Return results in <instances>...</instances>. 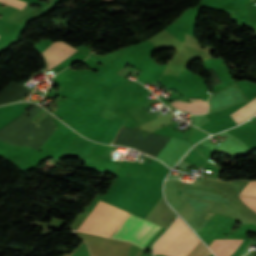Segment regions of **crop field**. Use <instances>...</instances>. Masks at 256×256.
I'll return each mask as SVG.
<instances>
[{
    "label": "crop field",
    "instance_id": "obj_1",
    "mask_svg": "<svg viewBox=\"0 0 256 256\" xmlns=\"http://www.w3.org/2000/svg\"><path fill=\"white\" fill-rule=\"evenodd\" d=\"M199 239L177 218L167 233L154 246V253L167 256H187Z\"/></svg>",
    "mask_w": 256,
    "mask_h": 256
},
{
    "label": "crop field",
    "instance_id": "obj_2",
    "mask_svg": "<svg viewBox=\"0 0 256 256\" xmlns=\"http://www.w3.org/2000/svg\"><path fill=\"white\" fill-rule=\"evenodd\" d=\"M160 229L161 227L130 214L111 237L132 241L143 247Z\"/></svg>",
    "mask_w": 256,
    "mask_h": 256
},
{
    "label": "crop field",
    "instance_id": "obj_3",
    "mask_svg": "<svg viewBox=\"0 0 256 256\" xmlns=\"http://www.w3.org/2000/svg\"><path fill=\"white\" fill-rule=\"evenodd\" d=\"M127 214L108 204L89 232L110 237Z\"/></svg>",
    "mask_w": 256,
    "mask_h": 256
},
{
    "label": "crop field",
    "instance_id": "obj_4",
    "mask_svg": "<svg viewBox=\"0 0 256 256\" xmlns=\"http://www.w3.org/2000/svg\"><path fill=\"white\" fill-rule=\"evenodd\" d=\"M192 146V144L185 140L172 138L156 158L163 160L168 166L173 167Z\"/></svg>",
    "mask_w": 256,
    "mask_h": 256
},
{
    "label": "crop field",
    "instance_id": "obj_5",
    "mask_svg": "<svg viewBox=\"0 0 256 256\" xmlns=\"http://www.w3.org/2000/svg\"><path fill=\"white\" fill-rule=\"evenodd\" d=\"M75 51L77 50L63 41L54 42L42 53L46 60L47 69H51L53 66L73 54Z\"/></svg>",
    "mask_w": 256,
    "mask_h": 256
},
{
    "label": "crop field",
    "instance_id": "obj_6",
    "mask_svg": "<svg viewBox=\"0 0 256 256\" xmlns=\"http://www.w3.org/2000/svg\"><path fill=\"white\" fill-rule=\"evenodd\" d=\"M243 239H214L209 246L215 256H230Z\"/></svg>",
    "mask_w": 256,
    "mask_h": 256
},
{
    "label": "crop field",
    "instance_id": "obj_7",
    "mask_svg": "<svg viewBox=\"0 0 256 256\" xmlns=\"http://www.w3.org/2000/svg\"><path fill=\"white\" fill-rule=\"evenodd\" d=\"M172 106L183 111H187L191 114H203L208 110V103L206 101H193L191 104L175 101L171 103Z\"/></svg>",
    "mask_w": 256,
    "mask_h": 256
},
{
    "label": "crop field",
    "instance_id": "obj_8",
    "mask_svg": "<svg viewBox=\"0 0 256 256\" xmlns=\"http://www.w3.org/2000/svg\"><path fill=\"white\" fill-rule=\"evenodd\" d=\"M256 113V98L230 116L237 124H240Z\"/></svg>",
    "mask_w": 256,
    "mask_h": 256
},
{
    "label": "crop field",
    "instance_id": "obj_9",
    "mask_svg": "<svg viewBox=\"0 0 256 256\" xmlns=\"http://www.w3.org/2000/svg\"><path fill=\"white\" fill-rule=\"evenodd\" d=\"M240 194V193H239ZM238 194V195H239ZM242 196H250V197H256V181H250L249 184L245 187V189L241 192ZM239 196V198L248 206L250 207L254 212H256V198H250V197H242Z\"/></svg>",
    "mask_w": 256,
    "mask_h": 256
},
{
    "label": "crop field",
    "instance_id": "obj_10",
    "mask_svg": "<svg viewBox=\"0 0 256 256\" xmlns=\"http://www.w3.org/2000/svg\"><path fill=\"white\" fill-rule=\"evenodd\" d=\"M210 255L211 254L209 253V251L200 242V244L188 256H210Z\"/></svg>",
    "mask_w": 256,
    "mask_h": 256
},
{
    "label": "crop field",
    "instance_id": "obj_11",
    "mask_svg": "<svg viewBox=\"0 0 256 256\" xmlns=\"http://www.w3.org/2000/svg\"><path fill=\"white\" fill-rule=\"evenodd\" d=\"M0 2L23 9L26 2L20 0H0Z\"/></svg>",
    "mask_w": 256,
    "mask_h": 256
},
{
    "label": "crop field",
    "instance_id": "obj_12",
    "mask_svg": "<svg viewBox=\"0 0 256 256\" xmlns=\"http://www.w3.org/2000/svg\"><path fill=\"white\" fill-rule=\"evenodd\" d=\"M249 13H250V14L256 13V5L249 7Z\"/></svg>",
    "mask_w": 256,
    "mask_h": 256
},
{
    "label": "crop field",
    "instance_id": "obj_13",
    "mask_svg": "<svg viewBox=\"0 0 256 256\" xmlns=\"http://www.w3.org/2000/svg\"><path fill=\"white\" fill-rule=\"evenodd\" d=\"M117 136H118V134H117ZM117 136H116V137H117ZM116 137H115V139H116ZM115 139L113 140V142L115 141ZM113 142H112V144H113Z\"/></svg>",
    "mask_w": 256,
    "mask_h": 256
},
{
    "label": "crop field",
    "instance_id": "obj_14",
    "mask_svg": "<svg viewBox=\"0 0 256 256\" xmlns=\"http://www.w3.org/2000/svg\"><path fill=\"white\" fill-rule=\"evenodd\" d=\"M252 244H253V242H252L250 245H248L247 248H248L249 246H251Z\"/></svg>",
    "mask_w": 256,
    "mask_h": 256
}]
</instances>
